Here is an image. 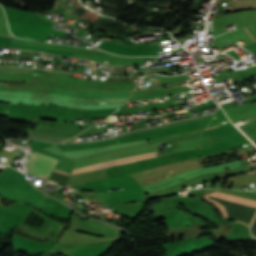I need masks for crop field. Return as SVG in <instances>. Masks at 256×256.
Here are the masks:
<instances>
[{
  "label": "crop field",
  "mask_w": 256,
  "mask_h": 256,
  "mask_svg": "<svg viewBox=\"0 0 256 256\" xmlns=\"http://www.w3.org/2000/svg\"><path fill=\"white\" fill-rule=\"evenodd\" d=\"M57 161V159L34 152L30 158L29 173L37 176L43 175L48 177L50 172L55 167Z\"/></svg>",
  "instance_id": "crop-field-1"
},
{
  "label": "crop field",
  "mask_w": 256,
  "mask_h": 256,
  "mask_svg": "<svg viewBox=\"0 0 256 256\" xmlns=\"http://www.w3.org/2000/svg\"><path fill=\"white\" fill-rule=\"evenodd\" d=\"M154 155H156V150L129 156V157H124V158H120V159H116V160H111V161H107V162H103V163H99V164H94V165H90V166H86V167H82V168H78V169H74V170H72L71 174L86 171V170H91V169H95V168H100V167H104V166H109V165H113V164L123 163V162H127V161H132V160H136V159H141V158H145V157H150V156H154ZM154 157H156V156H154ZM150 158H153V157H150ZM145 159H148V158H145ZM136 161H138V160H136ZM132 162H134V161H132ZM127 163H130V162H127ZM123 164H126V163H123ZM118 165H120V164H118Z\"/></svg>",
  "instance_id": "crop-field-2"
},
{
  "label": "crop field",
  "mask_w": 256,
  "mask_h": 256,
  "mask_svg": "<svg viewBox=\"0 0 256 256\" xmlns=\"http://www.w3.org/2000/svg\"><path fill=\"white\" fill-rule=\"evenodd\" d=\"M208 196H212V197H215L218 199H222V200L229 201V202H232L235 204H239V205L246 206V207H249L252 209H256V201L236 197V196L229 195V194H226L223 192L216 191Z\"/></svg>",
  "instance_id": "crop-field-3"
},
{
  "label": "crop field",
  "mask_w": 256,
  "mask_h": 256,
  "mask_svg": "<svg viewBox=\"0 0 256 256\" xmlns=\"http://www.w3.org/2000/svg\"><path fill=\"white\" fill-rule=\"evenodd\" d=\"M245 30V32L248 34V36L251 38L252 41H254V39L252 38V36L247 32V30L245 28H243Z\"/></svg>",
  "instance_id": "crop-field-4"
},
{
  "label": "crop field",
  "mask_w": 256,
  "mask_h": 256,
  "mask_svg": "<svg viewBox=\"0 0 256 256\" xmlns=\"http://www.w3.org/2000/svg\"><path fill=\"white\" fill-rule=\"evenodd\" d=\"M112 101H125V100H112Z\"/></svg>",
  "instance_id": "crop-field-5"
},
{
  "label": "crop field",
  "mask_w": 256,
  "mask_h": 256,
  "mask_svg": "<svg viewBox=\"0 0 256 256\" xmlns=\"http://www.w3.org/2000/svg\"><path fill=\"white\" fill-rule=\"evenodd\" d=\"M216 127V126H215Z\"/></svg>",
  "instance_id": "crop-field-6"
}]
</instances>
